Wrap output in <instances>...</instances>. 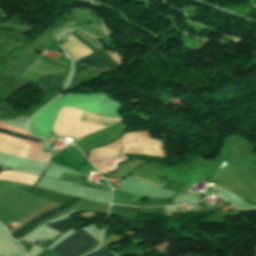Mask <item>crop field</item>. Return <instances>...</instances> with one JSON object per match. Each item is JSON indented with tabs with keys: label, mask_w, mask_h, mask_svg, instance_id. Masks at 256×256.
<instances>
[{
	"label": "crop field",
	"mask_w": 256,
	"mask_h": 256,
	"mask_svg": "<svg viewBox=\"0 0 256 256\" xmlns=\"http://www.w3.org/2000/svg\"><path fill=\"white\" fill-rule=\"evenodd\" d=\"M120 122L117 118L101 116L75 108L64 107L54 123L58 136L83 138Z\"/></svg>",
	"instance_id": "1"
},
{
	"label": "crop field",
	"mask_w": 256,
	"mask_h": 256,
	"mask_svg": "<svg viewBox=\"0 0 256 256\" xmlns=\"http://www.w3.org/2000/svg\"><path fill=\"white\" fill-rule=\"evenodd\" d=\"M0 129L25 134L23 130L0 124ZM0 130V134L41 144L37 138ZM0 135V141L41 151V145ZM0 142V152L48 163L50 153L39 152Z\"/></svg>",
	"instance_id": "2"
},
{
	"label": "crop field",
	"mask_w": 256,
	"mask_h": 256,
	"mask_svg": "<svg viewBox=\"0 0 256 256\" xmlns=\"http://www.w3.org/2000/svg\"><path fill=\"white\" fill-rule=\"evenodd\" d=\"M122 152L163 157L161 142L150 140L145 133L123 134L121 137ZM128 159L124 154L117 158L100 161L95 167L102 174Z\"/></svg>",
	"instance_id": "3"
},
{
	"label": "crop field",
	"mask_w": 256,
	"mask_h": 256,
	"mask_svg": "<svg viewBox=\"0 0 256 256\" xmlns=\"http://www.w3.org/2000/svg\"><path fill=\"white\" fill-rule=\"evenodd\" d=\"M98 241L88 236L82 230L70 235L60 244H58L52 251L62 256H77L84 250L93 246Z\"/></svg>",
	"instance_id": "4"
},
{
	"label": "crop field",
	"mask_w": 256,
	"mask_h": 256,
	"mask_svg": "<svg viewBox=\"0 0 256 256\" xmlns=\"http://www.w3.org/2000/svg\"><path fill=\"white\" fill-rule=\"evenodd\" d=\"M70 35H72L74 38H76L78 41H80L82 44H84L86 47H88L93 52L96 51L93 47H91L89 44H87L85 41H83L81 38H79L74 33H71ZM89 57L96 64V66L98 68L115 69L116 67H118L115 64V62L107 55V53L103 49H101V50H99V51H97L95 53H92L91 55H89ZM89 57L88 56L83 57V58H81V59H79L78 61H75V62L84 64L86 66L96 67L95 64L90 60ZM71 59L74 61L73 58H71Z\"/></svg>",
	"instance_id": "5"
},
{
	"label": "crop field",
	"mask_w": 256,
	"mask_h": 256,
	"mask_svg": "<svg viewBox=\"0 0 256 256\" xmlns=\"http://www.w3.org/2000/svg\"><path fill=\"white\" fill-rule=\"evenodd\" d=\"M79 198H72L70 201L58 206L55 209H52L42 215H40L39 217L33 219L32 221H30L29 223H27L26 225H24L23 227H21L20 229H18L17 231L13 232L12 234H10L15 240H18L20 238H22L26 233H28L35 225H37L39 222H41L42 220L64 210L65 208H67L68 206H70L71 204H73L74 202L78 201Z\"/></svg>",
	"instance_id": "6"
},
{
	"label": "crop field",
	"mask_w": 256,
	"mask_h": 256,
	"mask_svg": "<svg viewBox=\"0 0 256 256\" xmlns=\"http://www.w3.org/2000/svg\"><path fill=\"white\" fill-rule=\"evenodd\" d=\"M120 142L119 139H116L111 144L99 148H95L90 151L89 159L93 166L99 161L103 159H108L112 157H116L119 155Z\"/></svg>",
	"instance_id": "7"
},
{
	"label": "crop field",
	"mask_w": 256,
	"mask_h": 256,
	"mask_svg": "<svg viewBox=\"0 0 256 256\" xmlns=\"http://www.w3.org/2000/svg\"><path fill=\"white\" fill-rule=\"evenodd\" d=\"M37 57L38 56L21 57L17 59L15 63L2 74L17 78L26 68H28L35 61Z\"/></svg>",
	"instance_id": "8"
},
{
	"label": "crop field",
	"mask_w": 256,
	"mask_h": 256,
	"mask_svg": "<svg viewBox=\"0 0 256 256\" xmlns=\"http://www.w3.org/2000/svg\"><path fill=\"white\" fill-rule=\"evenodd\" d=\"M69 66H70V64H69ZM69 66H68V70H69ZM67 73H68V71L66 73L58 75V76L42 77L32 83H34L35 85H37L44 91L49 90L51 88H61Z\"/></svg>",
	"instance_id": "9"
},
{
	"label": "crop field",
	"mask_w": 256,
	"mask_h": 256,
	"mask_svg": "<svg viewBox=\"0 0 256 256\" xmlns=\"http://www.w3.org/2000/svg\"><path fill=\"white\" fill-rule=\"evenodd\" d=\"M37 179L36 176L26 175L22 173L7 171L0 173V180L13 181L17 183H23L32 186L34 181Z\"/></svg>",
	"instance_id": "10"
},
{
	"label": "crop field",
	"mask_w": 256,
	"mask_h": 256,
	"mask_svg": "<svg viewBox=\"0 0 256 256\" xmlns=\"http://www.w3.org/2000/svg\"><path fill=\"white\" fill-rule=\"evenodd\" d=\"M48 226L60 231V232H65L67 231L68 229H73L75 231L79 230L80 227L77 226L73 221L72 219L69 217L67 219H64V220H61V221H58V222H55L53 224H48Z\"/></svg>",
	"instance_id": "11"
},
{
	"label": "crop field",
	"mask_w": 256,
	"mask_h": 256,
	"mask_svg": "<svg viewBox=\"0 0 256 256\" xmlns=\"http://www.w3.org/2000/svg\"><path fill=\"white\" fill-rule=\"evenodd\" d=\"M90 256H113L109 251H107L105 248L103 249H100L98 251H95V252H92V253H89ZM88 254L87 255H84V256H89Z\"/></svg>",
	"instance_id": "12"
},
{
	"label": "crop field",
	"mask_w": 256,
	"mask_h": 256,
	"mask_svg": "<svg viewBox=\"0 0 256 256\" xmlns=\"http://www.w3.org/2000/svg\"><path fill=\"white\" fill-rule=\"evenodd\" d=\"M74 65H75V73L79 72V71H80V66L77 65V64H74ZM75 73H74V74H75Z\"/></svg>",
	"instance_id": "13"
},
{
	"label": "crop field",
	"mask_w": 256,
	"mask_h": 256,
	"mask_svg": "<svg viewBox=\"0 0 256 256\" xmlns=\"http://www.w3.org/2000/svg\"><path fill=\"white\" fill-rule=\"evenodd\" d=\"M3 170H12V169H9V168H6V167H3V166H0V171H3Z\"/></svg>",
	"instance_id": "14"
},
{
	"label": "crop field",
	"mask_w": 256,
	"mask_h": 256,
	"mask_svg": "<svg viewBox=\"0 0 256 256\" xmlns=\"http://www.w3.org/2000/svg\"><path fill=\"white\" fill-rule=\"evenodd\" d=\"M114 196V195H113ZM121 201V200H120ZM123 202V201H122ZM125 203V202H124Z\"/></svg>",
	"instance_id": "15"
},
{
	"label": "crop field",
	"mask_w": 256,
	"mask_h": 256,
	"mask_svg": "<svg viewBox=\"0 0 256 256\" xmlns=\"http://www.w3.org/2000/svg\"><path fill=\"white\" fill-rule=\"evenodd\" d=\"M247 211V210H246Z\"/></svg>",
	"instance_id": "16"
}]
</instances>
